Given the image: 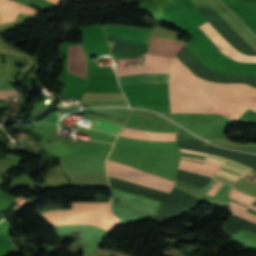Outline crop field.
<instances>
[{"label":"crop field","instance_id":"1","mask_svg":"<svg viewBox=\"0 0 256 256\" xmlns=\"http://www.w3.org/2000/svg\"><path fill=\"white\" fill-rule=\"evenodd\" d=\"M169 93L171 113H217L235 121L246 108L256 112L255 88L202 80L176 56L169 77Z\"/></svg>","mask_w":256,"mask_h":256},{"label":"crop field","instance_id":"2","mask_svg":"<svg viewBox=\"0 0 256 256\" xmlns=\"http://www.w3.org/2000/svg\"><path fill=\"white\" fill-rule=\"evenodd\" d=\"M184 43L153 38L150 41V51L146 55L164 57L173 59L174 56L181 50ZM145 56L143 66L128 67L121 70H116L118 76L141 74V73H157V72H169L171 68L172 60ZM169 73L158 74H141L132 76L118 77L120 85L134 84L143 82H164L168 83Z\"/></svg>","mask_w":256,"mask_h":256},{"label":"crop field","instance_id":"3","mask_svg":"<svg viewBox=\"0 0 256 256\" xmlns=\"http://www.w3.org/2000/svg\"><path fill=\"white\" fill-rule=\"evenodd\" d=\"M42 216L54 226L96 225L108 232L120 221L113 215L94 210L51 211L44 212Z\"/></svg>","mask_w":256,"mask_h":256},{"label":"crop field","instance_id":"4","mask_svg":"<svg viewBox=\"0 0 256 256\" xmlns=\"http://www.w3.org/2000/svg\"><path fill=\"white\" fill-rule=\"evenodd\" d=\"M107 173L119 178L169 192L174 182L138 169L107 160Z\"/></svg>","mask_w":256,"mask_h":256},{"label":"crop field","instance_id":"5","mask_svg":"<svg viewBox=\"0 0 256 256\" xmlns=\"http://www.w3.org/2000/svg\"><path fill=\"white\" fill-rule=\"evenodd\" d=\"M65 175L106 173L104 159L92 156L60 158Z\"/></svg>","mask_w":256,"mask_h":256},{"label":"crop field","instance_id":"6","mask_svg":"<svg viewBox=\"0 0 256 256\" xmlns=\"http://www.w3.org/2000/svg\"><path fill=\"white\" fill-rule=\"evenodd\" d=\"M106 36L147 44L150 31L128 27H104Z\"/></svg>","mask_w":256,"mask_h":256},{"label":"crop field","instance_id":"7","mask_svg":"<svg viewBox=\"0 0 256 256\" xmlns=\"http://www.w3.org/2000/svg\"><path fill=\"white\" fill-rule=\"evenodd\" d=\"M18 12L36 14V11L13 2L11 0H0V24L14 21Z\"/></svg>","mask_w":256,"mask_h":256},{"label":"crop field","instance_id":"8","mask_svg":"<svg viewBox=\"0 0 256 256\" xmlns=\"http://www.w3.org/2000/svg\"><path fill=\"white\" fill-rule=\"evenodd\" d=\"M210 39L216 44L218 49L225 55L240 62H256V56H247L237 51L235 48L229 45L220 34L210 37Z\"/></svg>","mask_w":256,"mask_h":256},{"label":"crop field","instance_id":"9","mask_svg":"<svg viewBox=\"0 0 256 256\" xmlns=\"http://www.w3.org/2000/svg\"><path fill=\"white\" fill-rule=\"evenodd\" d=\"M87 92L121 93L115 77L93 78Z\"/></svg>","mask_w":256,"mask_h":256},{"label":"crop field","instance_id":"10","mask_svg":"<svg viewBox=\"0 0 256 256\" xmlns=\"http://www.w3.org/2000/svg\"><path fill=\"white\" fill-rule=\"evenodd\" d=\"M95 120L100 122L99 123H96L97 121L94 122L91 128L102 130V131L109 132L116 135H118L123 128L122 125H118V124H114V123H110V122H106L98 119H95Z\"/></svg>","mask_w":256,"mask_h":256},{"label":"crop field","instance_id":"11","mask_svg":"<svg viewBox=\"0 0 256 256\" xmlns=\"http://www.w3.org/2000/svg\"><path fill=\"white\" fill-rule=\"evenodd\" d=\"M228 193H229V191L225 194V196L222 198V200H225L228 202Z\"/></svg>","mask_w":256,"mask_h":256},{"label":"crop field","instance_id":"12","mask_svg":"<svg viewBox=\"0 0 256 256\" xmlns=\"http://www.w3.org/2000/svg\"><path fill=\"white\" fill-rule=\"evenodd\" d=\"M48 1H50V2H52V3L58 4L61 0H48Z\"/></svg>","mask_w":256,"mask_h":256}]
</instances>
